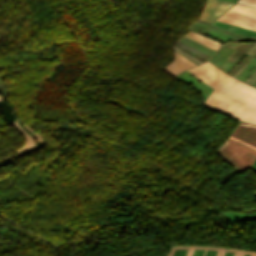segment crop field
I'll use <instances>...</instances> for the list:
<instances>
[{
  "instance_id": "obj_1",
  "label": "crop field",
  "mask_w": 256,
  "mask_h": 256,
  "mask_svg": "<svg viewBox=\"0 0 256 256\" xmlns=\"http://www.w3.org/2000/svg\"><path fill=\"white\" fill-rule=\"evenodd\" d=\"M187 71H189L190 73H192L193 75L201 79L203 82H205L206 84L215 89L211 93V95L206 99L204 104L210 108L221 111L233 117L236 116L239 110L243 107V105L247 102V100L255 91V89L227 76L209 62L191 68ZM215 92L236 99L243 103L240 106L241 102L222 96ZM210 99L214 102L220 103L235 110H237L239 106L240 107L237 111H235L220 104L214 103L210 101Z\"/></svg>"
},
{
  "instance_id": "obj_2",
  "label": "crop field",
  "mask_w": 256,
  "mask_h": 256,
  "mask_svg": "<svg viewBox=\"0 0 256 256\" xmlns=\"http://www.w3.org/2000/svg\"><path fill=\"white\" fill-rule=\"evenodd\" d=\"M216 152L239 173L249 168L256 159V149L230 138Z\"/></svg>"
},
{
  "instance_id": "obj_3",
  "label": "crop field",
  "mask_w": 256,
  "mask_h": 256,
  "mask_svg": "<svg viewBox=\"0 0 256 256\" xmlns=\"http://www.w3.org/2000/svg\"><path fill=\"white\" fill-rule=\"evenodd\" d=\"M168 256H256V253L212 247L178 246L172 247Z\"/></svg>"
},
{
  "instance_id": "obj_4",
  "label": "crop field",
  "mask_w": 256,
  "mask_h": 256,
  "mask_svg": "<svg viewBox=\"0 0 256 256\" xmlns=\"http://www.w3.org/2000/svg\"><path fill=\"white\" fill-rule=\"evenodd\" d=\"M217 20L256 31V9L236 4Z\"/></svg>"
},
{
  "instance_id": "obj_5",
  "label": "crop field",
  "mask_w": 256,
  "mask_h": 256,
  "mask_svg": "<svg viewBox=\"0 0 256 256\" xmlns=\"http://www.w3.org/2000/svg\"><path fill=\"white\" fill-rule=\"evenodd\" d=\"M232 5L224 1L208 0L199 19L211 23Z\"/></svg>"
},
{
  "instance_id": "obj_6",
  "label": "crop field",
  "mask_w": 256,
  "mask_h": 256,
  "mask_svg": "<svg viewBox=\"0 0 256 256\" xmlns=\"http://www.w3.org/2000/svg\"><path fill=\"white\" fill-rule=\"evenodd\" d=\"M230 137L256 148V126L239 122Z\"/></svg>"
},
{
  "instance_id": "obj_7",
  "label": "crop field",
  "mask_w": 256,
  "mask_h": 256,
  "mask_svg": "<svg viewBox=\"0 0 256 256\" xmlns=\"http://www.w3.org/2000/svg\"><path fill=\"white\" fill-rule=\"evenodd\" d=\"M172 54L174 55V60L168 63L167 66L165 65L166 67L163 70L174 76L180 71L196 65L175 51Z\"/></svg>"
},
{
  "instance_id": "obj_8",
  "label": "crop field",
  "mask_w": 256,
  "mask_h": 256,
  "mask_svg": "<svg viewBox=\"0 0 256 256\" xmlns=\"http://www.w3.org/2000/svg\"><path fill=\"white\" fill-rule=\"evenodd\" d=\"M236 118L256 124V91L237 114Z\"/></svg>"
},
{
  "instance_id": "obj_9",
  "label": "crop field",
  "mask_w": 256,
  "mask_h": 256,
  "mask_svg": "<svg viewBox=\"0 0 256 256\" xmlns=\"http://www.w3.org/2000/svg\"><path fill=\"white\" fill-rule=\"evenodd\" d=\"M211 25H214V26H217V27H220V28L238 33V34H242V35H246V36H249V37L256 38V32L255 31L248 30V29H245V28H241V27H238V26H235V25H231V24L224 23V22L217 21V20L212 22Z\"/></svg>"
},
{
  "instance_id": "obj_10",
  "label": "crop field",
  "mask_w": 256,
  "mask_h": 256,
  "mask_svg": "<svg viewBox=\"0 0 256 256\" xmlns=\"http://www.w3.org/2000/svg\"><path fill=\"white\" fill-rule=\"evenodd\" d=\"M185 36H187V37H189L193 40H196V41H198V42H200V43H202V44H204V45H206V46H208V47H210L214 50L218 49L217 46L219 45V43H217L215 41H212L210 39H207V38H205L203 36H200L198 34H195L191 31H189L187 34H185Z\"/></svg>"
},
{
  "instance_id": "obj_11",
  "label": "crop field",
  "mask_w": 256,
  "mask_h": 256,
  "mask_svg": "<svg viewBox=\"0 0 256 256\" xmlns=\"http://www.w3.org/2000/svg\"><path fill=\"white\" fill-rule=\"evenodd\" d=\"M238 2L256 7V0H239Z\"/></svg>"
},
{
  "instance_id": "obj_12",
  "label": "crop field",
  "mask_w": 256,
  "mask_h": 256,
  "mask_svg": "<svg viewBox=\"0 0 256 256\" xmlns=\"http://www.w3.org/2000/svg\"><path fill=\"white\" fill-rule=\"evenodd\" d=\"M250 168L256 170V161L252 164V166Z\"/></svg>"
},
{
  "instance_id": "obj_13",
  "label": "crop field",
  "mask_w": 256,
  "mask_h": 256,
  "mask_svg": "<svg viewBox=\"0 0 256 256\" xmlns=\"http://www.w3.org/2000/svg\"><path fill=\"white\" fill-rule=\"evenodd\" d=\"M256 193V192H255Z\"/></svg>"
}]
</instances>
